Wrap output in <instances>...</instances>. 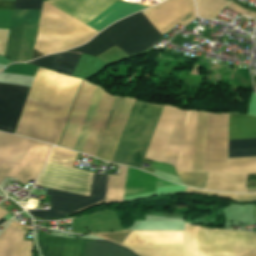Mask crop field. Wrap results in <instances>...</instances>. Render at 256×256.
<instances>
[{
  "label": "crop field",
  "mask_w": 256,
  "mask_h": 256,
  "mask_svg": "<svg viewBox=\"0 0 256 256\" xmlns=\"http://www.w3.org/2000/svg\"><path fill=\"white\" fill-rule=\"evenodd\" d=\"M24 235L25 232L9 226L0 236V256H20Z\"/></svg>",
  "instance_id": "19"
},
{
  "label": "crop field",
  "mask_w": 256,
  "mask_h": 256,
  "mask_svg": "<svg viewBox=\"0 0 256 256\" xmlns=\"http://www.w3.org/2000/svg\"><path fill=\"white\" fill-rule=\"evenodd\" d=\"M145 8L148 7L117 1L86 25L99 32L109 24Z\"/></svg>",
  "instance_id": "17"
},
{
  "label": "crop field",
  "mask_w": 256,
  "mask_h": 256,
  "mask_svg": "<svg viewBox=\"0 0 256 256\" xmlns=\"http://www.w3.org/2000/svg\"><path fill=\"white\" fill-rule=\"evenodd\" d=\"M154 165H157V166H161V167H164V168H167V169H171V170H174L172 166L170 165H166V164H163V163H159V162H155L153 163ZM152 166L153 168L155 169H158V170H161V171H164L166 173H170V174H173V175H177L176 172L174 171H171V170H167V169H164V168H161V167H157V166Z\"/></svg>",
  "instance_id": "33"
},
{
  "label": "crop field",
  "mask_w": 256,
  "mask_h": 256,
  "mask_svg": "<svg viewBox=\"0 0 256 256\" xmlns=\"http://www.w3.org/2000/svg\"><path fill=\"white\" fill-rule=\"evenodd\" d=\"M133 102L134 99L126 97V103L122 114L114 111L112 112L104 139L96 155L97 158L109 162L111 161Z\"/></svg>",
  "instance_id": "13"
},
{
  "label": "crop field",
  "mask_w": 256,
  "mask_h": 256,
  "mask_svg": "<svg viewBox=\"0 0 256 256\" xmlns=\"http://www.w3.org/2000/svg\"><path fill=\"white\" fill-rule=\"evenodd\" d=\"M186 191L201 192V193L214 194V195H220V196H231V197L235 196V194H223V193H217V192H209V191H203V190L189 188V187H187Z\"/></svg>",
  "instance_id": "36"
},
{
  "label": "crop field",
  "mask_w": 256,
  "mask_h": 256,
  "mask_svg": "<svg viewBox=\"0 0 256 256\" xmlns=\"http://www.w3.org/2000/svg\"><path fill=\"white\" fill-rule=\"evenodd\" d=\"M162 190V180L152 174L128 167L124 196Z\"/></svg>",
  "instance_id": "15"
},
{
  "label": "crop field",
  "mask_w": 256,
  "mask_h": 256,
  "mask_svg": "<svg viewBox=\"0 0 256 256\" xmlns=\"http://www.w3.org/2000/svg\"><path fill=\"white\" fill-rule=\"evenodd\" d=\"M95 87V85L83 80L76 101L74 103L73 109L71 111L60 144L61 146L67 147L72 150L74 149L81 126L88 111Z\"/></svg>",
  "instance_id": "9"
},
{
  "label": "crop field",
  "mask_w": 256,
  "mask_h": 256,
  "mask_svg": "<svg viewBox=\"0 0 256 256\" xmlns=\"http://www.w3.org/2000/svg\"><path fill=\"white\" fill-rule=\"evenodd\" d=\"M253 208H254L255 221H256V205H253Z\"/></svg>",
  "instance_id": "39"
},
{
  "label": "crop field",
  "mask_w": 256,
  "mask_h": 256,
  "mask_svg": "<svg viewBox=\"0 0 256 256\" xmlns=\"http://www.w3.org/2000/svg\"><path fill=\"white\" fill-rule=\"evenodd\" d=\"M0 63H1V64H5V65H8V64H11V63H13V62H11V61H9V60L3 58V57H0Z\"/></svg>",
  "instance_id": "37"
},
{
  "label": "crop field",
  "mask_w": 256,
  "mask_h": 256,
  "mask_svg": "<svg viewBox=\"0 0 256 256\" xmlns=\"http://www.w3.org/2000/svg\"><path fill=\"white\" fill-rule=\"evenodd\" d=\"M256 156V139L229 140V158Z\"/></svg>",
  "instance_id": "25"
},
{
  "label": "crop field",
  "mask_w": 256,
  "mask_h": 256,
  "mask_svg": "<svg viewBox=\"0 0 256 256\" xmlns=\"http://www.w3.org/2000/svg\"><path fill=\"white\" fill-rule=\"evenodd\" d=\"M160 38V33L140 12L108 27L87 44L69 51L97 56L117 45L131 55L149 49Z\"/></svg>",
  "instance_id": "4"
},
{
  "label": "crop field",
  "mask_w": 256,
  "mask_h": 256,
  "mask_svg": "<svg viewBox=\"0 0 256 256\" xmlns=\"http://www.w3.org/2000/svg\"><path fill=\"white\" fill-rule=\"evenodd\" d=\"M1 71V70H0Z\"/></svg>",
  "instance_id": "44"
},
{
  "label": "crop field",
  "mask_w": 256,
  "mask_h": 256,
  "mask_svg": "<svg viewBox=\"0 0 256 256\" xmlns=\"http://www.w3.org/2000/svg\"><path fill=\"white\" fill-rule=\"evenodd\" d=\"M181 110L165 105L149 144L145 158L162 161Z\"/></svg>",
  "instance_id": "10"
},
{
  "label": "crop field",
  "mask_w": 256,
  "mask_h": 256,
  "mask_svg": "<svg viewBox=\"0 0 256 256\" xmlns=\"http://www.w3.org/2000/svg\"><path fill=\"white\" fill-rule=\"evenodd\" d=\"M184 185L203 188L206 183L207 173L205 172H178Z\"/></svg>",
  "instance_id": "28"
},
{
  "label": "crop field",
  "mask_w": 256,
  "mask_h": 256,
  "mask_svg": "<svg viewBox=\"0 0 256 256\" xmlns=\"http://www.w3.org/2000/svg\"><path fill=\"white\" fill-rule=\"evenodd\" d=\"M8 214L4 209L0 211V218Z\"/></svg>",
  "instance_id": "38"
},
{
  "label": "crop field",
  "mask_w": 256,
  "mask_h": 256,
  "mask_svg": "<svg viewBox=\"0 0 256 256\" xmlns=\"http://www.w3.org/2000/svg\"><path fill=\"white\" fill-rule=\"evenodd\" d=\"M203 171L205 189L224 192H247V174L256 173V157L228 159V113L208 112Z\"/></svg>",
  "instance_id": "3"
},
{
  "label": "crop field",
  "mask_w": 256,
  "mask_h": 256,
  "mask_svg": "<svg viewBox=\"0 0 256 256\" xmlns=\"http://www.w3.org/2000/svg\"><path fill=\"white\" fill-rule=\"evenodd\" d=\"M28 89L0 83V131L13 134Z\"/></svg>",
  "instance_id": "8"
},
{
  "label": "crop field",
  "mask_w": 256,
  "mask_h": 256,
  "mask_svg": "<svg viewBox=\"0 0 256 256\" xmlns=\"http://www.w3.org/2000/svg\"><path fill=\"white\" fill-rule=\"evenodd\" d=\"M90 256H137L130 250L117 244L94 240Z\"/></svg>",
  "instance_id": "23"
},
{
  "label": "crop field",
  "mask_w": 256,
  "mask_h": 256,
  "mask_svg": "<svg viewBox=\"0 0 256 256\" xmlns=\"http://www.w3.org/2000/svg\"><path fill=\"white\" fill-rule=\"evenodd\" d=\"M115 1L117 0H49L46 2L86 24Z\"/></svg>",
  "instance_id": "11"
},
{
  "label": "crop field",
  "mask_w": 256,
  "mask_h": 256,
  "mask_svg": "<svg viewBox=\"0 0 256 256\" xmlns=\"http://www.w3.org/2000/svg\"><path fill=\"white\" fill-rule=\"evenodd\" d=\"M198 111L182 110L162 162L192 171Z\"/></svg>",
  "instance_id": "7"
},
{
  "label": "crop field",
  "mask_w": 256,
  "mask_h": 256,
  "mask_svg": "<svg viewBox=\"0 0 256 256\" xmlns=\"http://www.w3.org/2000/svg\"><path fill=\"white\" fill-rule=\"evenodd\" d=\"M43 0H15L14 9H40Z\"/></svg>",
  "instance_id": "31"
},
{
  "label": "crop field",
  "mask_w": 256,
  "mask_h": 256,
  "mask_svg": "<svg viewBox=\"0 0 256 256\" xmlns=\"http://www.w3.org/2000/svg\"><path fill=\"white\" fill-rule=\"evenodd\" d=\"M126 170L127 167L125 169V176L109 175L105 203L118 202L123 200Z\"/></svg>",
  "instance_id": "26"
},
{
  "label": "crop field",
  "mask_w": 256,
  "mask_h": 256,
  "mask_svg": "<svg viewBox=\"0 0 256 256\" xmlns=\"http://www.w3.org/2000/svg\"><path fill=\"white\" fill-rule=\"evenodd\" d=\"M226 1H228V0H226Z\"/></svg>",
  "instance_id": "43"
},
{
  "label": "crop field",
  "mask_w": 256,
  "mask_h": 256,
  "mask_svg": "<svg viewBox=\"0 0 256 256\" xmlns=\"http://www.w3.org/2000/svg\"><path fill=\"white\" fill-rule=\"evenodd\" d=\"M5 221H7V220H5V219L2 218V219L0 220V224L4 223Z\"/></svg>",
  "instance_id": "40"
},
{
  "label": "crop field",
  "mask_w": 256,
  "mask_h": 256,
  "mask_svg": "<svg viewBox=\"0 0 256 256\" xmlns=\"http://www.w3.org/2000/svg\"><path fill=\"white\" fill-rule=\"evenodd\" d=\"M206 113L199 111L193 171H202Z\"/></svg>",
  "instance_id": "24"
},
{
  "label": "crop field",
  "mask_w": 256,
  "mask_h": 256,
  "mask_svg": "<svg viewBox=\"0 0 256 256\" xmlns=\"http://www.w3.org/2000/svg\"><path fill=\"white\" fill-rule=\"evenodd\" d=\"M41 10H14L10 26H38ZM24 27H10L4 56L17 60Z\"/></svg>",
  "instance_id": "12"
},
{
  "label": "crop field",
  "mask_w": 256,
  "mask_h": 256,
  "mask_svg": "<svg viewBox=\"0 0 256 256\" xmlns=\"http://www.w3.org/2000/svg\"><path fill=\"white\" fill-rule=\"evenodd\" d=\"M239 201L256 200V194H236V199Z\"/></svg>",
  "instance_id": "34"
},
{
  "label": "crop field",
  "mask_w": 256,
  "mask_h": 256,
  "mask_svg": "<svg viewBox=\"0 0 256 256\" xmlns=\"http://www.w3.org/2000/svg\"><path fill=\"white\" fill-rule=\"evenodd\" d=\"M107 66L108 64L96 57L82 54L73 76L89 79Z\"/></svg>",
  "instance_id": "21"
},
{
  "label": "crop field",
  "mask_w": 256,
  "mask_h": 256,
  "mask_svg": "<svg viewBox=\"0 0 256 256\" xmlns=\"http://www.w3.org/2000/svg\"><path fill=\"white\" fill-rule=\"evenodd\" d=\"M0 209H2V208H0Z\"/></svg>",
  "instance_id": "42"
},
{
  "label": "crop field",
  "mask_w": 256,
  "mask_h": 256,
  "mask_svg": "<svg viewBox=\"0 0 256 256\" xmlns=\"http://www.w3.org/2000/svg\"><path fill=\"white\" fill-rule=\"evenodd\" d=\"M253 254H256V250L254 252H252Z\"/></svg>",
  "instance_id": "41"
},
{
  "label": "crop field",
  "mask_w": 256,
  "mask_h": 256,
  "mask_svg": "<svg viewBox=\"0 0 256 256\" xmlns=\"http://www.w3.org/2000/svg\"><path fill=\"white\" fill-rule=\"evenodd\" d=\"M229 139L256 138V117L230 113Z\"/></svg>",
  "instance_id": "18"
},
{
  "label": "crop field",
  "mask_w": 256,
  "mask_h": 256,
  "mask_svg": "<svg viewBox=\"0 0 256 256\" xmlns=\"http://www.w3.org/2000/svg\"><path fill=\"white\" fill-rule=\"evenodd\" d=\"M55 55V54H54ZM54 55H50L44 58L37 59L33 62H29L30 64L38 65V66H43V67H48L51 68Z\"/></svg>",
  "instance_id": "32"
},
{
  "label": "crop field",
  "mask_w": 256,
  "mask_h": 256,
  "mask_svg": "<svg viewBox=\"0 0 256 256\" xmlns=\"http://www.w3.org/2000/svg\"><path fill=\"white\" fill-rule=\"evenodd\" d=\"M14 1L0 0V10L12 11Z\"/></svg>",
  "instance_id": "35"
},
{
  "label": "crop field",
  "mask_w": 256,
  "mask_h": 256,
  "mask_svg": "<svg viewBox=\"0 0 256 256\" xmlns=\"http://www.w3.org/2000/svg\"><path fill=\"white\" fill-rule=\"evenodd\" d=\"M142 256H182L183 245H124Z\"/></svg>",
  "instance_id": "20"
},
{
  "label": "crop field",
  "mask_w": 256,
  "mask_h": 256,
  "mask_svg": "<svg viewBox=\"0 0 256 256\" xmlns=\"http://www.w3.org/2000/svg\"><path fill=\"white\" fill-rule=\"evenodd\" d=\"M124 244H183V231H132Z\"/></svg>",
  "instance_id": "16"
},
{
  "label": "crop field",
  "mask_w": 256,
  "mask_h": 256,
  "mask_svg": "<svg viewBox=\"0 0 256 256\" xmlns=\"http://www.w3.org/2000/svg\"><path fill=\"white\" fill-rule=\"evenodd\" d=\"M102 92H103L102 89H100L99 87H96L94 98L92 100V103H91V106L89 108L87 117L85 119V122H84V125L82 127L80 136L78 138L77 144H76L75 149H74L76 151H80L81 152L82 149H83V146H84V144L86 142V139H87L88 133L90 131L93 119L95 117L97 108L99 106V103H100V100H101V96H102Z\"/></svg>",
  "instance_id": "22"
},
{
  "label": "crop field",
  "mask_w": 256,
  "mask_h": 256,
  "mask_svg": "<svg viewBox=\"0 0 256 256\" xmlns=\"http://www.w3.org/2000/svg\"><path fill=\"white\" fill-rule=\"evenodd\" d=\"M256 248V234L196 226L194 256H242Z\"/></svg>",
  "instance_id": "6"
},
{
  "label": "crop field",
  "mask_w": 256,
  "mask_h": 256,
  "mask_svg": "<svg viewBox=\"0 0 256 256\" xmlns=\"http://www.w3.org/2000/svg\"><path fill=\"white\" fill-rule=\"evenodd\" d=\"M81 55L75 53L56 54L52 70L72 75Z\"/></svg>",
  "instance_id": "27"
},
{
  "label": "crop field",
  "mask_w": 256,
  "mask_h": 256,
  "mask_svg": "<svg viewBox=\"0 0 256 256\" xmlns=\"http://www.w3.org/2000/svg\"><path fill=\"white\" fill-rule=\"evenodd\" d=\"M85 239H72L37 234L43 256H82Z\"/></svg>",
  "instance_id": "14"
},
{
  "label": "crop field",
  "mask_w": 256,
  "mask_h": 256,
  "mask_svg": "<svg viewBox=\"0 0 256 256\" xmlns=\"http://www.w3.org/2000/svg\"><path fill=\"white\" fill-rule=\"evenodd\" d=\"M194 226L185 224L183 256H193Z\"/></svg>",
  "instance_id": "30"
},
{
  "label": "crop field",
  "mask_w": 256,
  "mask_h": 256,
  "mask_svg": "<svg viewBox=\"0 0 256 256\" xmlns=\"http://www.w3.org/2000/svg\"><path fill=\"white\" fill-rule=\"evenodd\" d=\"M163 106L135 100L111 162L141 167Z\"/></svg>",
  "instance_id": "5"
},
{
  "label": "crop field",
  "mask_w": 256,
  "mask_h": 256,
  "mask_svg": "<svg viewBox=\"0 0 256 256\" xmlns=\"http://www.w3.org/2000/svg\"><path fill=\"white\" fill-rule=\"evenodd\" d=\"M78 153L55 147L49 161L61 163L68 166H73Z\"/></svg>",
  "instance_id": "29"
},
{
  "label": "crop field",
  "mask_w": 256,
  "mask_h": 256,
  "mask_svg": "<svg viewBox=\"0 0 256 256\" xmlns=\"http://www.w3.org/2000/svg\"><path fill=\"white\" fill-rule=\"evenodd\" d=\"M81 81L39 67L14 134L58 145Z\"/></svg>",
  "instance_id": "1"
},
{
  "label": "crop field",
  "mask_w": 256,
  "mask_h": 256,
  "mask_svg": "<svg viewBox=\"0 0 256 256\" xmlns=\"http://www.w3.org/2000/svg\"><path fill=\"white\" fill-rule=\"evenodd\" d=\"M107 178L108 175L94 173L93 181L92 172L48 161L36 183L37 185L90 197L93 181L91 198L48 189L46 195L51 196L50 210H33L28 212L33 217H58L102 199L105 200Z\"/></svg>",
  "instance_id": "2"
}]
</instances>
